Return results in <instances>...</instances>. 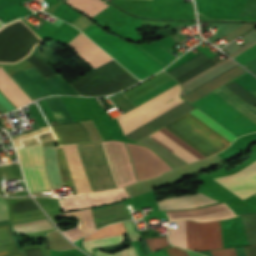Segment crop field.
<instances>
[{
	"mask_svg": "<svg viewBox=\"0 0 256 256\" xmlns=\"http://www.w3.org/2000/svg\"><path fill=\"white\" fill-rule=\"evenodd\" d=\"M246 73L248 72L238 65L181 97L192 104ZM225 87L253 107L256 104V97L236 82L233 81ZM192 105L237 137L256 131V116L219 89Z\"/></svg>",
	"mask_w": 256,
	"mask_h": 256,
	"instance_id": "8a807250",
	"label": "crop field"
},
{
	"mask_svg": "<svg viewBox=\"0 0 256 256\" xmlns=\"http://www.w3.org/2000/svg\"><path fill=\"white\" fill-rule=\"evenodd\" d=\"M82 32L139 79L154 74L176 59L166 51L177 43L171 36L150 44H131L105 34L94 23Z\"/></svg>",
	"mask_w": 256,
	"mask_h": 256,
	"instance_id": "ac0d7876",
	"label": "crop field"
},
{
	"mask_svg": "<svg viewBox=\"0 0 256 256\" xmlns=\"http://www.w3.org/2000/svg\"><path fill=\"white\" fill-rule=\"evenodd\" d=\"M181 89L182 87L178 84L137 108L118 117L117 119L124 134L133 131L159 115L185 102L180 98L179 93ZM193 109L195 108L185 102L125 136L129 139L138 141Z\"/></svg>",
	"mask_w": 256,
	"mask_h": 256,
	"instance_id": "34b2d1b8",
	"label": "crop field"
},
{
	"mask_svg": "<svg viewBox=\"0 0 256 256\" xmlns=\"http://www.w3.org/2000/svg\"><path fill=\"white\" fill-rule=\"evenodd\" d=\"M189 113L229 141L232 142L237 138L199 110L195 109ZM189 113L165 127L207 156L220 152L230 145L231 142Z\"/></svg>",
	"mask_w": 256,
	"mask_h": 256,
	"instance_id": "412701ff",
	"label": "crop field"
},
{
	"mask_svg": "<svg viewBox=\"0 0 256 256\" xmlns=\"http://www.w3.org/2000/svg\"><path fill=\"white\" fill-rule=\"evenodd\" d=\"M136 82V78L113 60L72 85L83 96H97L115 93Z\"/></svg>",
	"mask_w": 256,
	"mask_h": 256,
	"instance_id": "f4fd0767",
	"label": "crop field"
},
{
	"mask_svg": "<svg viewBox=\"0 0 256 256\" xmlns=\"http://www.w3.org/2000/svg\"><path fill=\"white\" fill-rule=\"evenodd\" d=\"M188 249L211 250L223 248L219 221L197 223L187 220ZM171 244L187 249L186 220L179 228L169 229Z\"/></svg>",
	"mask_w": 256,
	"mask_h": 256,
	"instance_id": "dd49c442",
	"label": "crop field"
},
{
	"mask_svg": "<svg viewBox=\"0 0 256 256\" xmlns=\"http://www.w3.org/2000/svg\"><path fill=\"white\" fill-rule=\"evenodd\" d=\"M11 76L33 100L53 94L79 95L59 74L45 79L32 66L15 72Z\"/></svg>",
	"mask_w": 256,
	"mask_h": 256,
	"instance_id": "e52e79f7",
	"label": "crop field"
},
{
	"mask_svg": "<svg viewBox=\"0 0 256 256\" xmlns=\"http://www.w3.org/2000/svg\"><path fill=\"white\" fill-rule=\"evenodd\" d=\"M101 143L116 186L137 182L125 142L111 140Z\"/></svg>",
	"mask_w": 256,
	"mask_h": 256,
	"instance_id": "d8731c3e",
	"label": "crop field"
},
{
	"mask_svg": "<svg viewBox=\"0 0 256 256\" xmlns=\"http://www.w3.org/2000/svg\"><path fill=\"white\" fill-rule=\"evenodd\" d=\"M27 185L31 192L51 190L50 183L45 169L43 145H36L28 148L17 149ZM32 167V168H27Z\"/></svg>",
	"mask_w": 256,
	"mask_h": 256,
	"instance_id": "5a996713",
	"label": "crop field"
},
{
	"mask_svg": "<svg viewBox=\"0 0 256 256\" xmlns=\"http://www.w3.org/2000/svg\"><path fill=\"white\" fill-rule=\"evenodd\" d=\"M59 167L64 186L90 192L75 144L58 146Z\"/></svg>",
	"mask_w": 256,
	"mask_h": 256,
	"instance_id": "3316defc",
	"label": "crop field"
},
{
	"mask_svg": "<svg viewBox=\"0 0 256 256\" xmlns=\"http://www.w3.org/2000/svg\"><path fill=\"white\" fill-rule=\"evenodd\" d=\"M127 145L139 180L153 178L171 170L153 150L138 144Z\"/></svg>",
	"mask_w": 256,
	"mask_h": 256,
	"instance_id": "28ad6ade",
	"label": "crop field"
},
{
	"mask_svg": "<svg viewBox=\"0 0 256 256\" xmlns=\"http://www.w3.org/2000/svg\"><path fill=\"white\" fill-rule=\"evenodd\" d=\"M51 128L54 131L58 140L52 141V140H55L52 132L37 136V138L42 143L52 141L49 143H45L44 146L85 142V141L91 140L87 131L81 124V122L71 123V124H63V125H53V126H51ZM23 143H24L25 147L40 144L34 138L24 141Z\"/></svg>",
	"mask_w": 256,
	"mask_h": 256,
	"instance_id": "d1516ede",
	"label": "crop field"
},
{
	"mask_svg": "<svg viewBox=\"0 0 256 256\" xmlns=\"http://www.w3.org/2000/svg\"><path fill=\"white\" fill-rule=\"evenodd\" d=\"M220 184L244 199L256 193V162L242 171L215 178Z\"/></svg>",
	"mask_w": 256,
	"mask_h": 256,
	"instance_id": "22f410ed",
	"label": "crop field"
},
{
	"mask_svg": "<svg viewBox=\"0 0 256 256\" xmlns=\"http://www.w3.org/2000/svg\"><path fill=\"white\" fill-rule=\"evenodd\" d=\"M149 136L154 138L156 141L164 145L166 148L174 152L188 163L206 158L203 154L195 150L193 147L185 143L164 127Z\"/></svg>",
	"mask_w": 256,
	"mask_h": 256,
	"instance_id": "cbeb9de0",
	"label": "crop field"
},
{
	"mask_svg": "<svg viewBox=\"0 0 256 256\" xmlns=\"http://www.w3.org/2000/svg\"><path fill=\"white\" fill-rule=\"evenodd\" d=\"M68 45L71 46L84 60H86L94 68H97L112 60L111 57H109L105 52H103L99 47H97L81 33Z\"/></svg>",
	"mask_w": 256,
	"mask_h": 256,
	"instance_id": "5142ce71",
	"label": "crop field"
},
{
	"mask_svg": "<svg viewBox=\"0 0 256 256\" xmlns=\"http://www.w3.org/2000/svg\"><path fill=\"white\" fill-rule=\"evenodd\" d=\"M125 232H126V230H125L122 222L117 223V224H111L109 226L102 227L100 230L94 232L93 234H91L89 236L84 237L83 241L106 237V236H111V235L122 234ZM123 237H124V234L101 238V239H96V240L85 241V242H83V247L92 253V248L121 243V242H123Z\"/></svg>",
	"mask_w": 256,
	"mask_h": 256,
	"instance_id": "d9b57169",
	"label": "crop field"
},
{
	"mask_svg": "<svg viewBox=\"0 0 256 256\" xmlns=\"http://www.w3.org/2000/svg\"><path fill=\"white\" fill-rule=\"evenodd\" d=\"M66 216L78 218L77 226L66 231H62L71 241H74L94 230L95 224L90 209L78 210L66 213Z\"/></svg>",
	"mask_w": 256,
	"mask_h": 256,
	"instance_id": "733c2abd",
	"label": "crop field"
},
{
	"mask_svg": "<svg viewBox=\"0 0 256 256\" xmlns=\"http://www.w3.org/2000/svg\"><path fill=\"white\" fill-rule=\"evenodd\" d=\"M214 202L218 201L202 193H198L196 195H188L159 201L158 204L160 209H180L202 206Z\"/></svg>",
	"mask_w": 256,
	"mask_h": 256,
	"instance_id": "4a817a6b",
	"label": "crop field"
},
{
	"mask_svg": "<svg viewBox=\"0 0 256 256\" xmlns=\"http://www.w3.org/2000/svg\"><path fill=\"white\" fill-rule=\"evenodd\" d=\"M124 210H126L125 206L123 203H121V204H117V205L94 209V210H92V212H93L94 218H96V217H100V216H104V215H108V214H112V213H116V212H120V211H124ZM128 219L129 218H128L127 212L124 211V212L96 218L94 220L96 223V227L98 229L104 225H107V224H110L113 222H117V221H121V220H128Z\"/></svg>",
	"mask_w": 256,
	"mask_h": 256,
	"instance_id": "bc2a9ffb",
	"label": "crop field"
},
{
	"mask_svg": "<svg viewBox=\"0 0 256 256\" xmlns=\"http://www.w3.org/2000/svg\"><path fill=\"white\" fill-rule=\"evenodd\" d=\"M45 163L52 184V188L56 189L62 185V179L57 166V156L55 147H44Z\"/></svg>",
	"mask_w": 256,
	"mask_h": 256,
	"instance_id": "214f88e0",
	"label": "crop field"
},
{
	"mask_svg": "<svg viewBox=\"0 0 256 256\" xmlns=\"http://www.w3.org/2000/svg\"><path fill=\"white\" fill-rule=\"evenodd\" d=\"M11 234L13 233L10 225L0 226V256L19 251ZM23 253L19 252L5 256H24Z\"/></svg>",
	"mask_w": 256,
	"mask_h": 256,
	"instance_id": "92a150f3",
	"label": "crop field"
},
{
	"mask_svg": "<svg viewBox=\"0 0 256 256\" xmlns=\"http://www.w3.org/2000/svg\"><path fill=\"white\" fill-rule=\"evenodd\" d=\"M14 231L20 234L33 233L43 230L54 229L55 227L50 223L47 218L14 223L12 224Z\"/></svg>",
	"mask_w": 256,
	"mask_h": 256,
	"instance_id": "dafd665d",
	"label": "crop field"
},
{
	"mask_svg": "<svg viewBox=\"0 0 256 256\" xmlns=\"http://www.w3.org/2000/svg\"><path fill=\"white\" fill-rule=\"evenodd\" d=\"M65 2L90 18L107 6L100 0H67Z\"/></svg>",
	"mask_w": 256,
	"mask_h": 256,
	"instance_id": "00972430",
	"label": "crop field"
},
{
	"mask_svg": "<svg viewBox=\"0 0 256 256\" xmlns=\"http://www.w3.org/2000/svg\"><path fill=\"white\" fill-rule=\"evenodd\" d=\"M58 124L73 122L62 98L60 96H53L46 98Z\"/></svg>",
	"mask_w": 256,
	"mask_h": 256,
	"instance_id": "a9b5d70f",
	"label": "crop field"
},
{
	"mask_svg": "<svg viewBox=\"0 0 256 256\" xmlns=\"http://www.w3.org/2000/svg\"><path fill=\"white\" fill-rule=\"evenodd\" d=\"M210 60L202 53L199 54L197 57L191 59L190 61L182 64L181 66L175 68L174 70L168 72L172 75L175 79L182 76L183 74L189 72L190 70L196 68L197 66L203 64L204 62Z\"/></svg>",
	"mask_w": 256,
	"mask_h": 256,
	"instance_id": "4177f3b9",
	"label": "crop field"
},
{
	"mask_svg": "<svg viewBox=\"0 0 256 256\" xmlns=\"http://www.w3.org/2000/svg\"><path fill=\"white\" fill-rule=\"evenodd\" d=\"M169 256H188L186 250L177 247H169L166 249ZM97 256H138L137 252L135 251L134 247L126 249L122 252H117L115 254H105L100 251L96 252Z\"/></svg>",
	"mask_w": 256,
	"mask_h": 256,
	"instance_id": "730fd06b",
	"label": "crop field"
},
{
	"mask_svg": "<svg viewBox=\"0 0 256 256\" xmlns=\"http://www.w3.org/2000/svg\"><path fill=\"white\" fill-rule=\"evenodd\" d=\"M145 241H146L147 245L149 246L151 252L156 251L161 248H164L166 246H169L166 236L148 238V239H145Z\"/></svg>",
	"mask_w": 256,
	"mask_h": 256,
	"instance_id": "eef30255",
	"label": "crop field"
},
{
	"mask_svg": "<svg viewBox=\"0 0 256 256\" xmlns=\"http://www.w3.org/2000/svg\"><path fill=\"white\" fill-rule=\"evenodd\" d=\"M256 58V45L242 52L239 56L235 58L243 66Z\"/></svg>",
	"mask_w": 256,
	"mask_h": 256,
	"instance_id": "ae1a2a85",
	"label": "crop field"
},
{
	"mask_svg": "<svg viewBox=\"0 0 256 256\" xmlns=\"http://www.w3.org/2000/svg\"><path fill=\"white\" fill-rule=\"evenodd\" d=\"M9 220L8 206L3 197H0V222Z\"/></svg>",
	"mask_w": 256,
	"mask_h": 256,
	"instance_id": "d3111659",
	"label": "crop field"
},
{
	"mask_svg": "<svg viewBox=\"0 0 256 256\" xmlns=\"http://www.w3.org/2000/svg\"><path fill=\"white\" fill-rule=\"evenodd\" d=\"M40 129H41V130L32 132V133L27 134V135H25V133L19 135L20 137H18V138H16V139L13 140L15 146H16V147L23 146L20 140L25 139V138H28V137H31V136L36 135V134H39V133H43V132L49 130V127H44V128H40Z\"/></svg>",
	"mask_w": 256,
	"mask_h": 256,
	"instance_id": "750c4746",
	"label": "crop field"
},
{
	"mask_svg": "<svg viewBox=\"0 0 256 256\" xmlns=\"http://www.w3.org/2000/svg\"><path fill=\"white\" fill-rule=\"evenodd\" d=\"M91 23H93V22H91L89 19H87L85 16L82 15L70 24L76 26L78 29H80L82 31L87 26H89Z\"/></svg>",
	"mask_w": 256,
	"mask_h": 256,
	"instance_id": "bd1437ed",
	"label": "crop field"
},
{
	"mask_svg": "<svg viewBox=\"0 0 256 256\" xmlns=\"http://www.w3.org/2000/svg\"><path fill=\"white\" fill-rule=\"evenodd\" d=\"M212 256H237L235 249H222V250H214L210 251Z\"/></svg>",
	"mask_w": 256,
	"mask_h": 256,
	"instance_id": "1d83c4d3",
	"label": "crop field"
},
{
	"mask_svg": "<svg viewBox=\"0 0 256 256\" xmlns=\"http://www.w3.org/2000/svg\"><path fill=\"white\" fill-rule=\"evenodd\" d=\"M124 225H125V227H126L128 233H129V236H130V238H131L132 241H133V240L140 239L138 233L135 232V230H134V228H133V226H132V224H131L130 221L124 222Z\"/></svg>",
	"mask_w": 256,
	"mask_h": 256,
	"instance_id": "120bbe31",
	"label": "crop field"
},
{
	"mask_svg": "<svg viewBox=\"0 0 256 256\" xmlns=\"http://www.w3.org/2000/svg\"><path fill=\"white\" fill-rule=\"evenodd\" d=\"M247 256H256V245L243 247Z\"/></svg>",
	"mask_w": 256,
	"mask_h": 256,
	"instance_id": "d32e631a",
	"label": "crop field"
},
{
	"mask_svg": "<svg viewBox=\"0 0 256 256\" xmlns=\"http://www.w3.org/2000/svg\"><path fill=\"white\" fill-rule=\"evenodd\" d=\"M244 67H246L248 70H253L255 67H256V59L255 60H253L252 62H250L249 64H247L246 66H244Z\"/></svg>",
	"mask_w": 256,
	"mask_h": 256,
	"instance_id": "5866460e",
	"label": "crop field"
},
{
	"mask_svg": "<svg viewBox=\"0 0 256 256\" xmlns=\"http://www.w3.org/2000/svg\"><path fill=\"white\" fill-rule=\"evenodd\" d=\"M187 252H188L189 256H202V255H200L198 253H195V252H192V251L187 250Z\"/></svg>",
	"mask_w": 256,
	"mask_h": 256,
	"instance_id": "028f5c9d",
	"label": "crop field"
},
{
	"mask_svg": "<svg viewBox=\"0 0 256 256\" xmlns=\"http://www.w3.org/2000/svg\"><path fill=\"white\" fill-rule=\"evenodd\" d=\"M0 194H3V190H2V187H1V183H0ZM4 195V194H3Z\"/></svg>",
	"mask_w": 256,
	"mask_h": 256,
	"instance_id": "e1f06a70",
	"label": "crop field"
},
{
	"mask_svg": "<svg viewBox=\"0 0 256 256\" xmlns=\"http://www.w3.org/2000/svg\"><path fill=\"white\" fill-rule=\"evenodd\" d=\"M251 72H253L255 75H256V69H254L253 71H251Z\"/></svg>",
	"mask_w": 256,
	"mask_h": 256,
	"instance_id": "0bd39190",
	"label": "crop field"
},
{
	"mask_svg": "<svg viewBox=\"0 0 256 256\" xmlns=\"http://www.w3.org/2000/svg\"><path fill=\"white\" fill-rule=\"evenodd\" d=\"M0 27H1V22H0Z\"/></svg>",
	"mask_w": 256,
	"mask_h": 256,
	"instance_id": "b80d0937",
	"label": "crop field"
},
{
	"mask_svg": "<svg viewBox=\"0 0 256 256\" xmlns=\"http://www.w3.org/2000/svg\"><path fill=\"white\" fill-rule=\"evenodd\" d=\"M256 195V194H255Z\"/></svg>",
	"mask_w": 256,
	"mask_h": 256,
	"instance_id": "c035e120",
	"label": "crop field"
}]
</instances>
